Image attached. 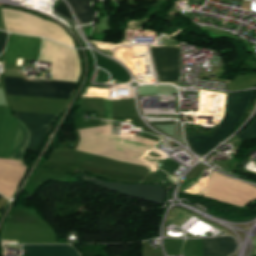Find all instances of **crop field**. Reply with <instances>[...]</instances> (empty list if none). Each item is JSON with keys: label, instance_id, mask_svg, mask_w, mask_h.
<instances>
[{"label": "crop field", "instance_id": "5", "mask_svg": "<svg viewBox=\"0 0 256 256\" xmlns=\"http://www.w3.org/2000/svg\"><path fill=\"white\" fill-rule=\"evenodd\" d=\"M236 242L231 237L202 239L201 256H226L233 253Z\"/></svg>", "mask_w": 256, "mask_h": 256}, {"label": "crop field", "instance_id": "1", "mask_svg": "<svg viewBox=\"0 0 256 256\" xmlns=\"http://www.w3.org/2000/svg\"><path fill=\"white\" fill-rule=\"evenodd\" d=\"M6 93L12 94H25V95H38L50 97H63L70 98L76 83L68 82H31L23 81L19 78L4 77ZM15 117L24 122L30 133V141L27 149L37 151L41 141L44 139L48 126L52 119L57 115L47 114H24L13 113Z\"/></svg>", "mask_w": 256, "mask_h": 256}, {"label": "crop field", "instance_id": "2", "mask_svg": "<svg viewBox=\"0 0 256 256\" xmlns=\"http://www.w3.org/2000/svg\"><path fill=\"white\" fill-rule=\"evenodd\" d=\"M254 93L255 91H247L241 94H227L225 116L213 131L212 138L207 136L187 137L191 148L199 154H204L227 137L241 120L254 98Z\"/></svg>", "mask_w": 256, "mask_h": 256}, {"label": "crop field", "instance_id": "3", "mask_svg": "<svg viewBox=\"0 0 256 256\" xmlns=\"http://www.w3.org/2000/svg\"><path fill=\"white\" fill-rule=\"evenodd\" d=\"M149 49L157 80H178V46H149Z\"/></svg>", "mask_w": 256, "mask_h": 256}, {"label": "crop field", "instance_id": "10", "mask_svg": "<svg viewBox=\"0 0 256 256\" xmlns=\"http://www.w3.org/2000/svg\"><path fill=\"white\" fill-rule=\"evenodd\" d=\"M2 196H0V198H1Z\"/></svg>", "mask_w": 256, "mask_h": 256}, {"label": "crop field", "instance_id": "6", "mask_svg": "<svg viewBox=\"0 0 256 256\" xmlns=\"http://www.w3.org/2000/svg\"><path fill=\"white\" fill-rule=\"evenodd\" d=\"M28 256H79L69 245H23Z\"/></svg>", "mask_w": 256, "mask_h": 256}, {"label": "crop field", "instance_id": "4", "mask_svg": "<svg viewBox=\"0 0 256 256\" xmlns=\"http://www.w3.org/2000/svg\"><path fill=\"white\" fill-rule=\"evenodd\" d=\"M40 42L41 38L9 34L4 65L15 66L16 57L37 59Z\"/></svg>", "mask_w": 256, "mask_h": 256}, {"label": "crop field", "instance_id": "8", "mask_svg": "<svg viewBox=\"0 0 256 256\" xmlns=\"http://www.w3.org/2000/svg\"><path fill=\"white\" fill-rule=\"evenodd\" d=\"M53 11L73 21V18L70 14L68 7L62 1L57 5V7Z\"/></svg>", "mask_w": 256, "mask_h": 256}, {"label": "crop field", "instance_id": "9", "mask_svg": "<svg viewBox=\"0 0 256 256\" xmlns=\"http://www.w3.org/2000/svg\"><path fill=\"white\" fill-rule=\"evenodd\" d=\"M6 37H7V33H3V32L0 33V53L2 52L5 46Z\"/></svg>", "mask_w": 256, "mask_h": 256}, {"label": "crop field", "instance_id": "7", "mask_svg": "<svg viewBox=\"0 0 256 256\" xmlns=\"http://www.w3.org/2000/svg\"><path fill=\"white\" fill-rule=\"evenodd\" d=\"M93 0H68L71 4L80 23H90L94 18L95 12L89 6V2Z\"/></svg>", "mask_w": 256, "mask_h": 256}]
</instances>
